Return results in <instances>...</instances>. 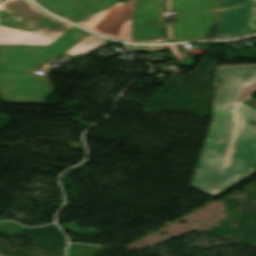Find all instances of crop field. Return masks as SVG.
<instances>
[{"instance_id":"8a807250","label":"crop field","mask_w":256,"mask_h":256,"mask_svg":"<svg viewBox=\"0 0 256 256\" xmlns=\"http://www.w3.org/2000/svg\"><path fill=\"white\" fill-rule=\"evenodd\" d=\"M222 80L213 105V121L199 163L256 166V110L237 102L256 82V66L218 67Z\"/></svg>"},{"instance_id":"ac0d7876","label":"crop field","mask_w":256,"mask_h":256,"mask_svg":"<svg viewBox=\"0 0 256 256\" xmlns=\"http://www.w3.org/2000/svg\"><path fill=\"white\" fill-rule=\"evenodd\" d=\"M49 11L101 35L162 42V0H36Z\"/></svg>"},{"instance_id":"34b2d1b8","label":"crop field","mask_w":256,"mask_h":256,"mask_svg":"<svg viewBox=\"0 0 256 256\" xmlns=\"http://www.w3.org/2000/svg\"><path fill=\"white\" fill-rule=\"evenodd\" d=\"M87 33L72 28L49 46H0V94L4 102L45 103L54 91L48 77L33 71L57 58Z\"/></svg>"},{"instance_id":"412701ff","label":"crop field","mask_w":256,"mask_h":256,"mask_svg":"<svg viewBox=\"0 0 256 256\" xmlns=\"http://www.w3.org/2000/svg\"><path fill=\"white\" fill-rule=\"evenodd\" d=\"M70 28L40 12L27 0L0 4V45H48Z\"/></svg>"},{"instance_id":"f4fd0767","label":"crop field","mask_w":256,"mask_h":256,"mask_svg":"<svg viewBox=\"0 0 256 256\" xmlns=\"http://www.w3.org/2000/svg\"><path fill=\"white\" fill-rule=\"evenodd\" d=\"M223 0H163V11L176 10L178 24L166 25L168 40L199 39L219 16Z\"/></svg>"},{"instance_id":"dd49c442","label":"crop field","mask_w":256,"mask_h":256,"mask_svg":"<svg viewBox=\"0 0 256 256\" xmlns=\"http://www.w3.org/2000/svg\"><path fill=\"white\" fill-rule=\"evenodd\" d=\"M219 13L217 39L256 31V0H224Z\"/></svg>"},{"instance_id":"e52e79f7","label":"crop field","mask_w":256,"mask_h":256,"mask_svg":"<svg viewBox=\"0 0 256 256\" xmlns=\"http://www.w3.org/2000/svg\"><path fill=\"white\" fill-rule=\"evenodd\" d=\"M192 187L216 195L254 173L256 167L199 164Z\"/></svg>"},{"instance_id":"d8731c3e","label":"crop field","mask_w":256,"mask_h":256,"mask_svg":"<svg viewBox=\"0 0 256 256\" xmlns=\"http://www.w3.org/2000/svg\"><path fill=\"white\" fill-rule=\"evenodd\" d=\"M107 43L109 42H105L102 39L95 37L93 35H87V37H85L72 48H70L65 54L71 57H78L94 49H97Z\"/></svg>"},{"instance_id":"5a996713","label":"crop field","mask_w":256,"mask_h":256,"mask_svg":"<svg viewBox=\"0 0 256 256\" xmlns=\"http://www.w3.org/2000/svg\"><path fill=\"white\" fill-rule=\"evenodd\" d=\"M217 27H218V19L215 21V23L211 26V28L205 34L204 38H206V39H216Z\"/></svg>"},{"instance_id":"3316defc","label":"crop field","mask_w":256,"mask_h":256,"mask_svg":"<svg viewBox=\"0 0 256 256\" xmlns=\"http://www.w3.org/2000/svg\"><path fill=\"white\" fill-rule=\"evenodd\" d=\"M255 87H256V83H254V84L250 85L249 87L245 88V90L243 91V93H242V95L239 99V102L242 101L243 99H245L244 94H245L246 91L250 92Z\"/></svg>"},{"instance_id":"28ad6ade","label":"crop field","mask_w":256,"mask_h":256,"mask_svg":"<svg viewBox=\"0 0 256 256\" xmlns=\"http://www.w3.org/2000/svg\"><path fill=\"white\" fill-rule=\"evenodd\" d=\"M215 78H216V83H217L216 94H215V97H216V95L218 93V90H219V86H220L221 81L216 76H215Z\"/></svg>"},{"instance_id":"d1516ede","label":"crop field","mask_w":256,"mask_h":256,"mask_svg":"<svg viewBox=\"0 0 256 256\" xmlns=\"http://www.w3.org/2000/svg\"><path fill=\"white\" fill-rule=\"evenodd\" d=\"M0 1H2V0H0Z\"/></svg>"}]
</instances>
